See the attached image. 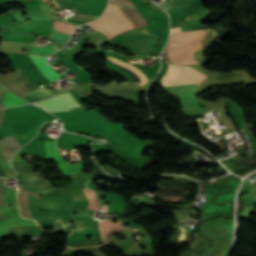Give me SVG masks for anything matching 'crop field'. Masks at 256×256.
Instances as JSON below:
<instances>
[{
	"label": "crop field",
	"instance_id": "crop-field-5",
	"mask_svg": "<svg viewBox=\"0 0 256 256\" xmlns=\"http://www.w3.org/2000/svg\"><path fill=\"white\" fill-rule=\"evenodd\" d=\"M105 2L106 0H62L56 3L60 7L69 6L79 12L78 15L98 17L106 6Z\"/></svg>",
	"mask_w": 256,
	"mask_h": 256
},
{
	"label": "crop field",
	"instance_id": "crop-field-7",
	"mask_svg": "<svg viewBox=\"0 0 256 256\" xmlns=\"http://www.w3.org/2000/svg\"><path fill=\"white\" fill-rule=\"evenodd\" d=\"M46 149L49 159L56 161L58 168L63 172L65 176L84 169L82 162L73 165L66 164L56 151L55 140L46 141Z\"/></svg>",
	"mask_w": 256,
	"mask_h": 256
},
{
	"label": "crop field",
	"instance_id": "crop-field-10",
	"mask_svg": "<svg viewBox=\"0 0 256 256\" xmlns=\"http://www.w3.org/2000/svg\"><path fill=\"white\" fill-rule=\"evenodd\" d=\"M100 228H101V234L102 237L109 234L112 231H119L123 229L124 227L120 224L119 221L116 223H112L111 220L108 221H101L100 222Z\"/></svg>",
	"mask_w": 256,
	"mask_h": 256
},
{
	"label": "crop field",
	"instance_id": "crop-field-2",
	"mask_svg": "<svg viewBox=\"0 0 256 256\" xmlns=\"http://www.w3.org/2000/svg\"><path fill=\"white\" fill-rule=\"evenodd\" d=\"M110 2L119 5L136 27L146 24L135 6L128 0H110ZM112 3H109L105 13L100 18L88 23L91 27L106 34L110 39L121 32L135 28L120 7Z\"/></svg>",
	"mask_w": 256,
	"mask_h": 256
},
{
	"label": "crop field",
	"instance_id": "crop-field-13",
	"mask_svg": "<svg viewBox=\"0 0 256 256\" xmlns=\"http://www.w3.org/2000/svg\"><path fill=\"white\" fill-rule=\"evenodd\" d=\"M90 39H92L93 41H95L98 44L103 45L106 41H108L109 39L107 37H105L104 35H102L101 33L93 30L90 34Z\"/></svg>",
	"mask_w": 256,
	"mask_h": 256
},
{
	"label": "crop field",
	"instance_id": "crop-field-12",
	"mask_svg": "<svg viewBox=\"0 0 256 256\" xmlns=\"http://www.w3.org/2000/svg\"><path fill=\"white\" fill-rule=\"evenodd\" d=\"M83 191L89 201L88 209L98 210L99 206L97 204L95 194L93 192L89 191L87 188H84Z\"/></svg>",
	"mask_w": 256,
	"mask_h": 256
},
{
	"label": "crop field",
	"instance_id": "crop-field-9",
	"mask_svg": "<svg viewBox=\"0 0 256 256\" xmlns=\"http://www.w3.org/2000/svg\"><path fill=\"white\" fill-rule=\"evenodd\" d=\"M17 225H35V226H37V224L34 221L29 220V219H24L21 217L8 219V220L0 222V237L4 236V233L8 228L17 226Z\"/></svg>",
	"mask_w": 256,
	"mask_h": 256
},
{
	"label": "crop field",
	"instance_id": "crop-field-1",
	"mask_svg": "<svg viewBox=\"0 0 256 256\" xmlns=\"http://www.w3.org/2000/svg\"><path fill=\"white\" fill-rule=\"evenodd\" d=\"M207 75L190 68L188 66H170L165 73L161 87H180L199 85ZM198 86L169 88L164 91L181 100L183 114H188L193 111H201L198 101L195 99V92Z\"/></svg>",
	"mask_w": 256,
	"mask_h": 256
},
{
	"label": "crop field",
	"instance_id": "crop-field-15",
	"mask_svg": "<svg viewBox=\"0 0 256 256\" xmlns=\"http://www.w3.org/2000/svg\"><path fill=\"white\" fill-rule=\"evenodd\" d=\"M171 38H172V35H171V37H170V42H169V45H168V47L166 48V50H168V48H169V46H170V44H171Z\"/></svg>",
	"mask_w": 256,
	"mask_h": 256
},
{
	"label": "crop field",
	"instance_id": "crop-field-11",
	"mask_svg": "<svg viewBox=\"0 0 256 256\" xmlns=\"http://www.w3.org/2000/svg\"><path fill=\"white\" fill-rule=\"evenodd\" d=\"M24 103H26V102L23 101L22 99H20L19 97L15 96L14 94H12L9 91L2 101V105H5L7 107L20 105V104H24Z\"/></svg>",
	"mask_w": 256,
	"mask_h": 256
},
{
	"label": "crop field",
	"instance_id": "crop-field-14",
	"mask_svg": "<svg viewBox=\"0 0 256 256\" xmlns=\"http://www.w3.org/2000/svg\"><path fill=\"white\" fill-rule=\"evenodd\" d=\"M55 25H59V26H62V27H66V28H69V29H73V30H75V28H76V26H72V25H69V24H65V23H62V22H58V21H55V23H54ZM54 28H57V29H59V30H62V31H65V32H67V33H70V34H72V31H68V30H65V29H62V28H58V27H55L54 26Z\"/></svg>",
	"mask_w": 256,
	"mask_h": 256
},
{
	"label": "crop field",
	"instance_id": "crop-field-6",
	"mask_svg": "<svg viewBox=\"0 0 256 256\" xmlns=\"http://www.w3.org/2000/svg\"><path fill=\"white\" fill-rule=\"evenodd\" d=\"M36 105L50 113L56 111H71L70 109L79 107L78 103L69 92L59 94L43 102L36 103Z\"/></svg>",
	"mask_w": 256,
	"mask_h": 256
},
{
	"label": "crop field",
	"instance_id": "crop-field-4",
	"mask_svg": "<svg viewBox=\"0 0 256 256\" xmlns=\"http://www.w3.org/2000/svg\"><path fill=\"white\" fill-rule=\"evenodd\" d=\"M33 57V56H32ZM37 68L51 81H56V79L60 78V75L53 71V69L46 64L45 59L46 57H33ZM16 71L21 75L23 80L21 82L33 92L24 97V99L28 102H35L42 100L44 98L50 97L53 94L49 93L48 91L38 87L33 80L25 73V71L20 68L16 69Z\"/></svg>",
	"mask_w": 256,
	"mask_h": 256
},
{
	"label": "crop field",
	"instance_id": "crop-field-16",
	"mask_svg": "<svg viewBox=\"0 0 256 256\" xmlns=\"http://www.w3.org/2000/svg\"><path fill=\"white\" fill-rule=\"evenodd\" d=\"M102 208H103V211H108L106 206H102Z\"/></svg>",
	"mask_w": 256,
	"mask_h": 256
},
{
	"label": "crop field",
	"instance_id": "crop-field-3",
	"mask_svg": "<svg viewBox=\"0 0 256 256\" xmlns=\"http://www.w3.org/2000/svg\"><path fill=\"white\" fill-rule=\"evenodd\" d=\"M114 43L128 48L135 54L148 56L156 42V33H147L146 26L124 32L111 39Z\"/></svg>",
	"mask_w": 256,
	"mask_h": 256
},
{
	"label": "crop field",
	"instance_id": "crop-field-8",
	"mask_svg": "<svg viewBox=\"0 0 256 256\" xmlns=\"http://www.w3.org/2000/svg\"><path fill=\"white\" fill-rule=\"evenodd\" d=\"M16 191L17 190L5 188L4 204L0 207V212L9 217L19 215L18 207H17ZM8 204H13V208L7 207Z\"/></svg>",
	"mask_w": 256,
	"mask_h": 256
}]
</instances>
